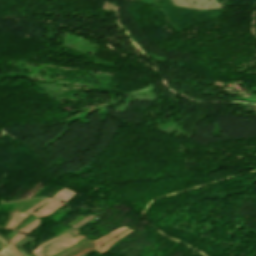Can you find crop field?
I'll return each instance as SVG.
<instances>
[{
  "instance_id": "3",
  "label": "crop field",
  "mask_w": 256,
  "mask_h": 256,
  "mask_svg": "<svg viewBox=\"0 0 256 256\" xmlns=\"http://www.w3.org/2000/svg\"><path fill=\"white\" fill-rule=\"evenodd\" d=\"M22 236H24V234L18 232L16 235H14L9 241L10 243H14L16 240H18L19 238H21Z\"/></svg>"
},
{
  "instance_id": "2",
  "label": "crop field",
  "mask_w": 256,
  "mask_h": 256,
  "mask_svg": "<svg viewBox=\"0 0 256 256\" xmlns=\"http://www.w3.org/2000/svg\"><path fill=\"white\" fill-rule=\"evenodd\" d=\"M90 216V215H89ZM88 217V216H87ZM86 218V217H85ZM93 217H88V218H86V219H84V220H80L81 222H79V223H77L76 225H74V226H72V227H74V228H79L80 226H82L83 224H85L86 222H88L89 220H91Z\"/></svg>"
},
{
  "instance_id": "1",
  "label": "crop field",
  "mask_w": 256,
  "mask_h": 256,
  "mask_svg": "<svg viewBox=\"0 0 256 256\" xmlns=\"http://www.w3.org/2000/svg\"><path fill=\"white\" fill-rule=\"evenodd\" d=\"M0 256H16L10 243L0 250Z\"/></svg>"
},
{
  "instance_id": "5",
  "label": "crop field",
  "mask_w": 256,
  "mask_h": 256,
  "mask_svg": "<svg viewBox=\"0 0 256 256\" xmlns=\"http://www.w3.org/2000/svg\"><path fill=\"white\" fill-rule=\"evenodd\" d=\"M94 250V249H93ZM93 250H91V251H93ZM91 251H88V252H86V253H84V254H82V255H80V256H83V255H85V254H87V253H89V252H91Z\"/></svg>"
},
{
  "instance_id": "4",
  "label": "crop field",
  "mask_w": 256,
  "mask_h": 256,
  "mask_svg": "<svg viewBox=\"0 0 256 256\" xmlns=\"http://www.w3.org/2000/svg\"><path fill=\"white\" fill-rule=\"evenodd\" d=\"M0 242L2 243V244H7L5 241H3L1 238H0Z\"/></svg>"
}]
</instances>
